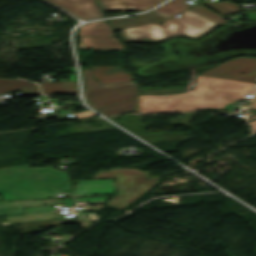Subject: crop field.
<instances>
[{"mask_svg":"<svg viewBox=\"0 0 256 256\" xmlns=\"http://www.w3.org/2000/svg\"><path fill=\"white\" fill-rule=\"evenodd\" d=\"M86 103L105 116L136 111L137 83L118 82L101 84L91 69H81Z\"/></svg>","mask_w":256,"mask_h":256,"instance_id":"1","label":"crop field"},{"mask_svg":"<svg viewBox=\"0 0 256 256\" xmlns=\"http://www.w3.org/2000/svg\"><path fill=\"white\" fill-rule=\"evenodd\" d=\"M163 24L153 23L123 30L121 33L126 42L156 43L168 37L181 35L197 39L218 26L190 9L177 18L163 21Z\"/></svg>","mask_w":256,"mask_h":256,"instance_id":"2","label":"crop field"},{"mask_svg":"<svg viewBox=\"0 0 256 256\" xmlns=\"http://www.w3.org/2000/svg\"><path fill=\"white\" fill-rule=\"evenodd\" d=\"M116 178L118 194L111 197L106 206L124 209L143 194L156 186L159 177H150L149 171L142 172L133 168L99 170L90 179Z\"/></svg>","mask_w":256,"mask_h":256,"instance_id":"3","label":"crop field"},{"mask_svg":"<svg viewBox=\"0 0 256 256\" xmlns=\"http://www.w3.org/2000/svg\"><path fill=\"white\" fill-rule=\"evenodd\" d=\"M200 74L256 83V58L239 57Z\"/></svg>","mask_w":256,"mask_h":256,"instance_id":"4","label":"crop field"},{"mask_svg":"<svg viewBox=\"0 0 256 256\" xmlns=\"http://www.w3.org/2000/svg\"><path fill=\"white\" fill-rule=\"evenodd\" d=\"M60 6L84 20L103 17L102 11L94 4L95 0H45Z\"/></svg>","mask_w":256,"mask_h":256,"instance_id":"5","label":"crop field"},{"mask_svg":"<svg viewBox=\"0 0 256 256\" xmlns=\"http://www.w3.org/2000/svg\"><path fill=\"white\" fill-rule=\"evenodd\" d=\"M164 0H98L104 11H145Z\"/></svg>","mask_w":256,"mask_h":256,"instance_id":"6","label":"crop field"},{"mask_svg":"<svg viewBox=\"0 0 256 256\" xmlns=\"http://www.w3.org/2000/svg\"><path fill=\"white\" fill-rule=\"evenodd\" d=\"M73 192L74 195L114 194V179L89 180L79 182Z\"/></svg>","mask_w":256,"mask_h":256,"instance_id":"7","label":"crop field"},{"mask_svg":"<svg viewBox=\"0 0 256 256\" xmlns=\"http://www.w3.org/2000/svg\"><path fill=\"white\" fill-rule=\"evenodd\" d=\"M162 16L156 15L154 13H146L141 15H136L129 18H118L113 20H108L109 25L113 28L114 31L116 30H123L131 27H136L140 25H145L153 22H158L165 20Z\"/></svg>","mask_w":256,"mask_h":256,"instance_id":"8","label":"crop field"},{"mask_svg":"<svg viewBox=\"0 0 256 256\" xmlns=\"http://www.w3.org/2000/svg\"><path fill=\"white\" fill-rule=\"evenodd\" d=\"M92 68L93 76L101 83L129 81L133 77L131 74L121 67H90Z\"/></svg>","mask_w":256,"mask_h":256,"instance_id":"9","label":"crop field"},{"mask_svg":"<svg viewBox=\"0 0 256 256\" xmlns=\"http://www.w3.org/2000/svg\"><path fill=\"white\" fill-rule=\"evenodd\" d=\"M15 90L22 91L24 95L39 94L37 86L32 82L0 78V93Z\"/></svg>","mask_w":256,"mask_h":256,"instance_id":"10","label":"crop field"},{"mask_svg":"<svg viewBox=\"0 0 256 256\" xmlns=\"http://www.w3.org/2000/svg\"><path fill=\"white\" fill-rule=\"evenodd\" d=\"M44 94H74L78 93L76 81L62 83H40Z\"/></svg>","mask_w":256,"mask_h":256,"instance_id":"11","label":"crop field"},{"mask_svg":"<svg viewBox=\"0 0 256 256\" xmlns=\"http://www.w3.org/2000/svg\"><path fill=\"white\" fill-rule=\"evenodd\" d=\"M185 1L186 0H171L152 12L169 18L178 12L190 7V5Z\"/></svg>","mask_w":256,"mask_h":256,"instance_id":"12","label":"crop field"},{"mask_svg":"<svg viewBox=\"0 0 256 256\" xmlns=\"http://www.w3.org/2000/svg\"><path fill=\"white\" fill-rule=\"evenodd\" d=\"M206 6L216 11L220 15H228L231 13L239 12L238 5L234 3H229L227 1L219 2V3H211V2H203Z\"/></svg>","mask_w":256,"mask_h":256,"instance_id":"13","label":"crop field"},{"mask_svg":"<svg viewBox=\"0 0 256 256\" xmlns=\"http://www.w3.org/2000/svg\"><path fill=\"white\" fill-rule=\"evenodd\" d=\"M201 4V3H200ZM190 9L194 10L195 12L201 14L202 16L206 17L207 19L221 25L225 23V19L217 16L216 14L212 13L211 11L205 9L204 7L200 6L199 4L194 5Z\"/></svg>","mask_w":256,"mask_h":256,"instance_id":"14","label":"crop field"},{"mask_svg":"<svg viewBox=\"0 0 256 256\" xmlns=\"http://www.w3.org/2000/svg\"><path fill=\"white\" fill-rule=\"evenodd\" d=\"M108 197H99V198H82L76 199L77 201H88V202H95V201H106Z\"/></svg>","mask_w":256,"mask_h":256,"instance_id":"15","label":"crop field"},{"mask_svg":"<svg viewBox=\"0 0 256 256\" xmlns=\"http://www.w3.org/2000/svg\"><path fill=\"white\" fill-rule=\"evenodd\" d=\"M90 116H94V114L89 111L75 114V117H77L79 119L90 117Z\"/></svg>","mask_w":256,"mask_h":256,"instance_id":"16","label":"crop field"},{"mask_svg":"<svg viewBox=\"0 0 256 256\" xmlns=\"http://www.w3.org/2000/svg\"><path fill=\"white\" fill-rule=\"evenodd\" d=\"M249 108H256V90H255L254 96L249 104Z\"/></svg>","mask_w":256,"mask_h":256,"instance_id":"17","label":"crop field"},{"mask_svg":"<svg viewBox=\"0 0 256 256\" xmlns=\"http://www.w3.org/2000/svg\"><path fill=\"white\" fill-rule=\"evenodd\" d=\"M250 124L253 127V130L256 129V120L250 121Z\"/></svg>","mask_w":256,"mask_h":256,"instance_id":"18","label":"crop field"},{"mask_svg":"<svg viewBox=\"0 0 256 256\" xmlns=\"http://www.w3.org/2000/svg\"><path fill=\"white\" fill-rule=\"evenodd\" d=\"M254 133H256V130H254Z\"/></svg>","mask_w":256,"mask_h":256,"instance_id":"19","label":"crop field"}]
</instances>
